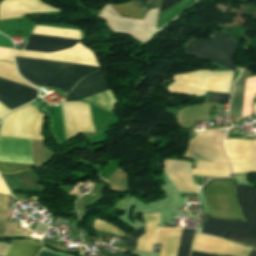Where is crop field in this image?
Instances as JSON below:
<instances>
[{"label": "crop field", "mask_w": 256, "mask_h": 256, "mask_svg": "<svg viewBox=\"0 0 256 256\" xmlns=\"http://www.w3.org/2000/svg\"><path fill=\"white\" fill-rule=\"evenodd\" d=\"M19 73L35 86L71 90L84 76L100 70L96 67L15 59Z\"/></svg>", "instance_id": "obj_1"}, {"label": "crop field", "mask_w": 256, "mask_h": 256, "mask_svg": "<svg viewBox=\"0 0 256 256\" xmlns=\"http://www.w3.org/2000/svg\"><path fill=\"white\" fill-rule=\"evenodd\" d=\"M232 72H210L197 70L187 74L176 75L168 89L183 94L205 95L207 91L229 94ZM229 95L212 93L207 101L228 103Z\"/></svg>", "instance_id": "obj_2"}, {"label": "crop field", "mask_w": 256, "mask_h": 256, "mask_svg": "<svg viewBox=\"0 0 256 256\" xmlns=\"http://www.w3.org/2000/svg\"><path fill=\"white\" fill-rule=\"evenodd\" d=\"M209 217L243 220L232 178L211 179L202 188Z\"/></svg>", "instance_id": "obj_3"}, {"label": "crop field", "mask_w": 256, "mask_h": 256, "mask_svg": "<svg viewBox=\"0 0 256 256\" xmlns=\"http://www.w3.org/2000/svg\"><path fill=\"white\" fill-rule=\"evenodd\" d=\"M41 123L42 113L28 104L4 116L0 127V136L41 139Z\"/></svg>", "instance_id": "obj_4"}, {"label": "crop field", "mask_w": 256, "mask_h": 256, "mask_svg": "<svg viewBox=\"0 0 256 256\" xmlns=\"http://www.w3.org/2000/svg\"><path fill=\"white\" fill-rule=\"evenodd\" d=\"M215 34L217 35L215 38L200 41V43L213 62L234 71V56L237 48L235 41L227 33L215 32ZM200 43L199 41L189 42L187 46L188 53L211 61Z\"/></svg>", "instance_id": "obj_5"}, {"label": "crop field", "mask_w": 256, "mask_h": 256, "mask_svg": "<svg viewBox=\"0 0 256 256\" xmlns=\"http://www.w3.org/2000/svg\"><path fill=\"white\" fill-rule=\"evenodd\" d=\"M33 32L70 37V38H81V31L61 29V28H52V27H41L35 26ZM32 33L30 40L25 48L28 51H40V52H55L63 49H68L76 45L79 41L77 39L42 35Z\"/></svg>", "instance_id": "obj_6"}, {"label": "crop field", "mask_w": 256, "mask_h": 256, "mask_svg": "<svg viewBox=\"0 0 256 256\" xmlns=\"http://www.w3.org/2000/svg\"><path fill=\"white\" fill-rule=\"evenodd\" d=\"M0 161L34 164L31 140L0 137ZM8 162H0V172L15 173L35 166Z\"/></svg>", "instance_id": "obj_7"}, {"label": "crop field", "mask_w": 256, "mask_h": 256, "mask_svg": "<svg viewBox=\"0 0 256 256\" xmlns=\"http://www.w3.org/2000/svg\"><path fill=\"white\" fill-rule=\"evenodd\" d=\"M227 130L217 129L194 135L189 142V149L185 156L193 158V152L203 157L221 163H228L222 150V138Z\"/></svg>", "instance_id": "obj_8"}, {"label": "crop field", "mask_w": 256, "mask_h": 256, "mask_svg": "<svg viewBox=\"0 0 256 256\" xmlns=\"http://www.w3.org/2000/svg\"><path fill=\"white\" fill-rule=\"evenodd\" d=\"M166 172L173 173H185L191 174V163L176 161V160H166L163 162ZM168 173L172 179L174 185L181 191H196L198 192L199 188L195 184L191 175L185 174H173ZM192 174L195 175H207L214 177H227L230 175V171H211V170H200L192 169Z\"/></svg>", "instance_id": "obj_9"}, {"label": "crop field", "mask_w": 256, "mask_h": 256, "mask_svg": "<svg viewBox=\"0 0 256 256\" xmlns=\"http://www.w3.org/2000/svg\"><path fill=\"white\" fill-rule=\"evenodd\" d=\"M192 250L217 255L249 256L252 249L231 243L227 240L196 233ZM250 256H256V250H252Z\"/></svg>", "instance_id": "obj_10"}, {"label": "crop field", "mask_w": 256, "mask_h": 256, "mask_svg": "<svg viewBox=\"0 0 256 256\" xmlns=\"http://www.w3.org/2000/svg\"><path fill=\"white\" fill-rule=\"evenodd\" d=\"M242 89L243 79L237 81L235 85V96L230 105L229 116H240L242 109ZM256 95V77L244 79L243 117L251 115L252 101ZM241 118L237 117V121Z\"/></svg>", "instance_id": "obj_11"}, {"label": "crop field", "mask_w": 256, "mask_h": 256, "mask_svg": "<svg viewBox=\"0 0 256 256\" xmlns=\"http://www.w3.org/2000/svg\"><path fill=\"white\" fill-rule=\"evenodd\" d=\"M37 96V91L0 79V102L11 110L24 105Z\"/></svg>", "instance_id": "obj_12"}, {"label": "crop field", "mask_w": 256, "mask_h": 256, "mask_svg": "<svg viewBox=\"0 0 256 256\" xmlns=\"http://www.w3.org/2000/svg\"><path fill=\"white\" fill-rule=\"evenodd\" d=\"M107 90H110L109 84L100 70L81 80L66 101H78Z\"/></svg>", "instance_id": "obj_13"}, {"label": "crop field", "mask_w": 256, "mask_h": 256, "mask_svg": "<svg viewBox=\"0 0 256 256\" xmlns=\"http://www.w3.org/2000/svg\"><path fill=\"white\" fill-rule=\"evenodd\" d=\"M227 229L256 238V230L251 228L246 222L227 221L206 217H204V224L201 232L224 237Z\"/></svg>", "instance_id": "obj_14"}, {"label": "crop field", "mask_w": 256, "mask_h": 256, "mask_svg": "<svg viewBox=\"0 0 256 256\" xmlns=\"http://www.w3.org/2000/svg\"><path fill=\"white\" fill-rule=\"evenodd\" d=\"M224 150L230 162L256 163V140H225Z\"/></svg>", "instance_id": "obj_15"}, {"label": "crop field", "mask_w": 256, "mask_h": 256, "mask_svg": "<svg viewBox=\"0 0 256 256\" xmlns=\"http://www.w3.org/2000/svg\"><path fill=\"white\" fill-rule=\"evenodd\" d=\"M5 2H18L21 13L49 12L55 10L40 0H5ZM18 4L1 3L0 4V20L21 15Z\"/></svg>", "instance_id": "obj_16"}, {"label": "crop field", "mask_w": 256, "mask_h": 256, "mask_svg": "<svg viewBox=\"0 0 256 256\" xmlns=\"http://www.w3.org/2000/svg\"><path fill=\"white\" fill-rule=\"evenodd\" d=\"M237 196L246 220L256 228V189L237 185Z\"/></svg>", "instance_id": "obj_17"}, {"label": "crop field", "mask_w": 256, "mask_h": 256, "mask_svg": "<svg viewBox=\"0 0 256 256\" xmlns=\"http://www.w3.org/2000/svg\"><path fill=\"white\" fill-rule=\"evenodd\" d=\"M142 11L146 14V12L152 8H158L159 0H135ZM134 2L128 1L123 4H110L121 16L124 17H132V18H144L143 12Z\"/></svg>", "instance_id": "obj_18"}, {"label": "crop field", "mask_w": 256, "mask_h": 256, "mask_svg": "<svg viewBox=\"0 0 256 256\" xmlns=\"http://www.w3.org/2000/svg\"><path fill=\"white\" fill-rule=\"evenodd\" d=\"M182 228L159 229L157 243L162 244L160 256H176Z\"/></svg>", "instance_id": "obj_19"}, {"label": "crop field", "mask_w": 256, "mask_h": 256, "mask_svg": "<svg viewBox=\"0 0 256 256\" xmlns=\"http://www.w3.org/2000/svg\"><path fill=\"white\" fill-rule=\"evenodd\" d=\"M146 233L139 237L136 251L153 252V242L156 237L159 221V213L143 215Z\"/></svg>", "instance_id": "obj_20"}, {"label": "crop field", "mask_w": 256, "mask_h": 256, "mask_svg": "<svg viewBox=\"0 0 256 256\" xmlns=\"http://www.w3.org/2000/svg\"><path fill=\"white\" fill-rule=\"evenodd\" d=\"M41 247L28 241L13 242L7 256H37Z\"/></svg>", "instance_id": "obj_21"}, {"label": "crop field", "mask_w": 256, "mask_h": 256, "mask_svg": "<svg viewBox=\"0 0 256 256\" xmlns=\"http://www.w3.org/2000/svg\"><path fill=\"white\" fill-rule=\"evenodd\" d=\"M195 229H183L179 244L178 256H189L191 241L194 237Z\"/></svg>", "instance_id": "obj_22"}, {"label": "crop field", "mask_w": 256, "mask_h": 256, "mask_svg": "<svg viewBox=\"0 0 256 256\" xmlns=\"http://www.w3.org/2000/svg\"><path fill=\"white\" fill-rule=\"evenodd\" d=\"M9 197L0 195V236L3 234Z\"/></svg>", "instance_id": "obj_23"}, {"label": "crop field", "mask_w": 256, "mask_h": 256, "mask_svg": "<svg viewBox=\"0 0 256 256\" xmlns=\"http://www.w3.org/2000/svg\"><path fill=\"white\" fill-rule=\"evenodd\" d=\"M195 168L212 169V170H230L228 164H220L208 161H197Z\"/></svg>", "instance_id": "obj_24"}, {"label": "crop field", "mask_w": 256, "mask_h": 256, "mask_svg": "<svg viewBox=\"0 0 256 256\" xmlns=\"http://www.w3.org/2000/svg\"><path fill=\"white\" fill-rule=\"evenodd\" d=\"M94 227H95V229H98V230H102V231H106V232H110V233H114V234H118V235H122V236L127 235L124 232L116 229L117 227L114 228L115 226L113 227L99 219H97L95 221Z\"/></svg>", "instance_id": "obj_25"}, {"label": "crop field", "mask_w": 256, "mask_h": 256, "mask_svg": "<svg viewBox=\"0 0 256 256\" xmlns=\"http://www.w3.org/2000/svg\"><path fill=\"white\" fill-rule=\"evenodd\" d=\"M225 237L235 239V240L240 241V242L245 243V244L256 246V239L248 237L246 235L234 233V232L229 231V230H228Z\"/></svg>", "instance_id": "obj_26"}, {"label": "crop field", "mask_w": 256, "mask_h": 256, "mask_svg": "<svg viewBox=\"0 0 256 256\" xmlns=\"http://www.w3.org/2000/svg\"><path fill=\"white\" fill-rule=\"evenodd\" d=\"M232 173L256 172V165L231 164Z\"/></svg>", "instance_id": "obj_27"}, {"label": "crop field", "mask_w": 256, "mask_h": 256, "mask_svg": "<svg viewBox=\"0 0 256 256\" xmlns=\"http://www.w3.org/2000/svg\"><path fill=\"white\" fill-rule=\"evenodd\" d=\"M143 233H145L144 227L139 228L132 232L131 234L127 235L126 246H136L138 237L141 236Z\"/></svg>", "instance_id": "obj_28"}, {"label": "crop field", "mask_w": 256, "mask_h": 256, "mask_svg": "<svg viewBox=\"0 0 256 256\" xmlns=\"http://www.w3.org/2000/svg\"><path fill=\"white\" fill-rule=\"evenodd\" d=\"M17 224L6 223L4 235H14L15 231L26 234V231L16 229Z\"/></svg>", "instance_id": "obj_29"}, {"label": "crop field", "mask_w": 256, "mask_h": 256, "mask_svg": "<svg viewBox=\"0 0 256 256\" xmlns=\"http://www.w3.org/2000/svg\"><path fill=\"white\" fill-rule=\"evenodd\" d=\"M181 0H162L160 4V12L172 7Z\"/></svg>", "instance_id": "obj_30"}, {"label": "crop field", "mask_w": 256, "mask_h": 256, "mask_svg": "<svg viewBox=\"0 0 256 256\" xmlns=\"http://www.w3.org/2000/svg\"><path fill=\"white\" fill-rule=\"evenodd\" d=\"M10 245L0 243V256H6L7 250Z\"/></svg>", "instance_id": "obj_31"}, {"label": "crop field", "mask_w": 256, "mask_h": 256, "mask_svg": "<svg viewBox=\"0 0 256 256\" xmlns=\"http://www.w3.org/2000/svg\"><path fill=\"white\" fill-rule=\"evenodd\" d=\"M0 193L5 194V195L8 193V191L5 187V185L3 184L1 178H0Z\"/></svg>", "instance_id": "obj_32"}, {"label": "crop field", "mask_w": 256, "mask_h": 256, "mask_svg": "<svg viewBox=\"0 0 256 256\" xmlns=\"http://www.w3.org/2000/svg\"><path fill=\"white\" fill-rule=\"evenodd\" d=\"M7 111H9V109L6 108L2 103H0V116Z\"/></svg>", "instance_id": "obj_33"}, {"label": "crop field", "mask_w": 256, "mask_h": 256, "mask_svg": "<svg viewBox=\"0 0 256 256\" xmlns=\"http://www.w3.org/2000/svg\"><path fill=\"white\" fill-rule=\"evenodd\" d=\"M40 256H60V255L50 253V252H47V251L43 250L42 253L40 254Z\"/></svg>", "instance_id": "obj_34"}, {"label": "crop field", "mask_w": 256, "mask_h": 256, "mask_svg": "<svg viewBox=\"0 0 256 256\" xmlns=\"http://www.w3.org/2000/svg\"><path fill=\"white\" fill-rule=\"evenodd\" d=\"M191 255H197V256H216V255L198 253V252H194V251H192Z\"/></svg>", "instance_id": "obj_35"}, {"label": "crop field", "mask_w": 256, "mask_h": 256, "mask_svg": "<svg viewBox=\"0 0 256 256\" xmlns=\"http://www.w3.org/2000/svg\"><path fill=\"white\" fill-rule=\"evenodd\" d=\"M254 113H255V115H256V103H255V105H254Z\"/></svg>", "instance_id": "obj_36"}, {"label": "crop field", "mask_w": 256, "mask_h": 256, "mask_svg": "<svg viewBox=\"0 0 256 256\" xmlns=\"http://www.w3.org/2000/svg\"><path fill=\"white\" fill-rule=\"evenodd\" d=\"M256 137V136H255Z\"/></svg>", "instance_id": "obj_37"}]
</instances>
